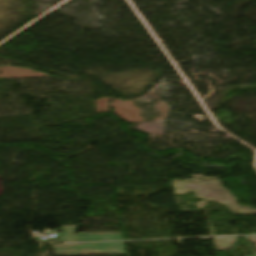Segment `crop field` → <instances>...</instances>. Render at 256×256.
<instances>
[{
	"instance_id": "1",
	"label": "crop field",
	"mask_w": 256,
	"mask_h": 256,
	"mask_svg": "<svg viewBox=\"0 0 256 256\" xmlns=\"http://www.w3.org/2000/svg\"><path fill=\"white\" fill-rule=\"evenodd\" d=\"M55 255L125 254L122 242L64 244L54 247Z\"/></svg>"
}]
</instances>
